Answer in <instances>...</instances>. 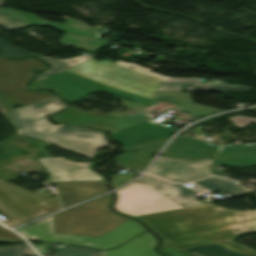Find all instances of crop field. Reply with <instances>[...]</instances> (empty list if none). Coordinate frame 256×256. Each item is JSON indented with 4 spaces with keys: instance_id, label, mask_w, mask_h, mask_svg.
Here are the masks:
<instances>
[{
    "instance_id": "8a807250",
    "label": "crop field",
    "mask_w": 256,
    "mask_h": 256,
    "mask_svg": "<svg viewBox=\"0 0 256 256\" xmlns=\"http://www.w3.org/2000/svg\"><path fill=\"white\" fill-rule=\"evenodd\" d=\"M118 195L117 210L147 222L164 238L160 251L169 256H256L255 251L229 241L256 230V210L239 212L210 204L184 208L138 183Z\"/></svg>"
},
{
    "instance_id": "ac0d7876",
    "label": "crop field",
    "mask_w": 256,
    "mask_h": 256,
    "mask_svg": "<svg viewBox=\"0 0 256 256\" xmlns=\"http://www.w3.org/2000/svg\"><path fill=\"white\" fill-rule=\"evenodd\" d=\"M150 71V69L130 62L111 63L96 61L95 58H92L73 68L33 83L29 87L55 90L71 103L86 98L90 94L101 92L150 106V100L105 85L108 83L152 97L157 86L171 77Z\"/></svg>"
},
{
    "instance_id": "34b2d1b8",
    "label": "crop field",
    "mask_w": 256,
    "mask_h": 256,
    "mask_svg": "<svg viewBox=\"0 0 256 256\" xmlns=\"http://www.w3.org/2000/svg\"><path fill=\"white\" fill-rule=\"evenodd\" d=\"M66 107L55 95L4 116L18 130V134L41 138L89 157L97 148L108 146L101 132L63 124L54 126L47 121L50 113ZM52 138L58 141L55 142Z\"/></svg>"
},
{
    "instance_id": "412701ff",
    "label": "crop field",
    "mask_w": 256,
    "mask_h": 256,
    "mask_svg": "<svg viewBox=\"0 0 256 256\" xmlns=\"http://www.w3.org/2000/svg\"><path fill=\"white\" fill-rule=\"evenodd\" d=\"M110 196L82 204L54 216L55 233L101 236L129 220L108 209Z\"/></svg>"
},
{
    "instance_id": "f4fd0767",
    "label": "crop field",
    "mask_w": 256,
    "mask_h": 256,
    "mask_svg": "<svg viewBox=\"0 0 256 256\" xmlns=\"http://www.w3.org/2000/svg\"><path fill=\"white\" fill-rule=\"evenodd\" d=\"M45 68L34 59H0V105L6 113L14 110V105L26 106L35 101L55 95L50 92L28 91L24 83L32 78V70Z\"/></svg>"
},
{
    "instance_id": "dd49c442",
    "label": "crop field",
    "mask_w": 256,
    "mask_h": 256,
    "mask_svg": "<svg viewBox=\"0 0 256 256\" xmlns=\"http://www.w3.org/2000/svg\"><path fill=\"white\" fill-rule=\"evenodd\" d=\"M144 230H146L144 226L130 219L101 237L55 234L52 216L18 231L30 240L62 242L88 247L110 249L140 234Z\"/></svg>"
},
{
    "instance_id": "e52e79f7",
    "label": "crop field",
    "mask_w": 256,
    "mask_h": 256,
    "mask_svg": "<svg viewBox=\"0 0 256 256\" xmlns=\"http://www.w3.org/2000/svg\"><path fill=\"white\" fill-rule=\"evenodd\" d=\"M150 104L152 105L151 107L153 109H157L160 113H162V111H164L167 108H176V109H179L178 112H185V113L200 116V117H204L208 114L222 111V110L214 109L204 105L196 104L192 101L190 93H183V92L157 91L154 97L152 98V101ZM75 109L76 108L74 107L63 113L57 114L56 116H54V119L56 121L74 122V121H70L60 117ZM148 111L149 110L146 109L145 112L141 115L121 117L98 126L87 124V123H81V122H76V123H81L90 127L99 128V129H103L110 132L113 140L122 144L124 146L122 149L128 150L134 146L122 140L118 136V134L115 132V130L145 120Z\"/></svg>"
},
{
    "instance_id": "d8731c3e",
    "label": "crop field",
    "mask_w": 256,
    "mask_h": 256,
    "mask_svg": "<svg viewBox=\"0 0 256 256\" xmlns=\"http://www.w3.org/2000/svg\"><path fill=\"white\" fill-rule=\"evenodd\" d=\"M58 201L16 187L0 180V212L11 221V227L34 218L57 211ZM22 224V223H21Z\"/></svg>"
},
{
    "instance_id": "5a996713",
    "label": "crop field",
    "mask_w": 256,
    "mask_h": 256,
    "mask_svg": "<svg viewBox=\"0 0 256 256\" xmlns=\"http://www.w3.org/2000/svg\"><path fill=\"white\" fill-rule=\"evenodd\" d=\"M0 9L31 26H49L56 30L65 32L66 34L64 37L61 38L60 43L66 46L76 47L77 49L82 50L98 51L101 50L108 43H110L108 41H103L91 37L96 32V30H93L94 28L83 22L63 17L61 19L67 20V22L61 25L42 20L33 14H26L22 11L18 12L16 10L8 8Z\"/></svg>"
},
{
    "instance_id": "3316defc",
    "label": "crop field",
    "mask_w": 256,
    "mask_h": 256,
    "mask_svg": "<svg viewBox=\"0 0 256 256\" xmlns=\"http://www.w3.org/2000/svg\"><path fill=\"white\" fill-rule=\"evenodd\" d=\"M52 182L103 180L101 176L89 169L92 163H77L63 157L38 158Z\"/></svg>"
},
{
    "instance_id": "28ad6ade",
    "label": "crop field",
    "mask_w": 256,
    "mask_h": 256,
    "mask_svg": "<svg viewBox=\"0 0 256 256\" xmlns=\"http://www.w3.org/2000/svg\"><path fill=\"white\" fill-rule=\"evenodd\" d=\"M212 165V159L190 162L185 160L169 159L161 156L157 162L147 171L158 177L175 182H191L197 180L198 177L190 171Z\"/></svg>"
},
{
    "instance_id": "d1516ede",
    "label": "crop field",
    "mask_w": 256,
    "mask_h": 256,
    "mask_svg": "<svg viewBox=\"0 0 256 256\" xmlns=\"http://www.w3.org/2000/svg\"><path fill=\"white\" fill-rule=\"evenodd\" d=\"M217 149L218 146L179 136L167 147L164 155L185 160H199L213 157Z\"/></svg>"
},
{
    "instance_id": "22f410ed",
    "label": "crop field",
    "mask_w": 256,
    "mask_h": 256,
    "mask_svg": "<svg viewBox=\"0 0 256 256\" xmlns=\"http://www.w3.org/2000/svg\"><path fill=\"white\" fill-rule=\"evenodd\" d=\"M51 184L61 187L57 194L62 201V208L78 203L86 198L107 192L104 181Z\"/></svg>"
},
{
    "instance_id": "cbeb9de0",
    "label": "crop field",
    "mask_w": 256,
    "mask_h": 256,
    "mask_svg": "<svg viewBox=\"0 0 256 256\" xmlns=\"http://www.w3.org/2000/svg\"><path fill=\"white\" fill-rule=\"evenodd\" d=\"M139 180L184 207L201 204L193 198L195 191H192L180 184L166 182L162 179L148 175L143 176Z\"/></svg>"
},
{
    "instance_id": "5142ce71",
    "label": "crop field",
    "mask_w": 256,
    "mask_h": 256,
    "mask_svg": "<svg viewBox=\"0 0 256 256\" xmlns=\"http://www.w3.org/2000/svg\"><path fill=\"white\" fill-rule=\"evenodd\" d=\"M158 244L156 238L149 232L128 242L125 246L113 251H101L106 256H161L154 251Z\"/></svg>"
},
{
    "instance_id": "d9b57169",
    "label": "crop field",
    "mask_w": 256,
    "mask_h": 256,
    "mask_svg": "<svg viewBox=\"0 0 256 256\" xmlns=\"http://www.w3.org/2000/svg\"><path fill=\"white\" fill-rule=\"evenodd\" d=\"M5 3V0H0V5ZM0 25L10 29V30H19L22 28L29 27L28 25L22 23L21 21L13 18L12 16L6 14L5 12L0 10ZM0 46L2 47V55L9 57H19L24 55H36L32 53L25 52L15 46H12L2 39H0ZM40 56V55H37Z\"/></svg>"
},
{
    "instance_id": "733c2abd",
    "label": "crop field",
    "mask_w": 256,
    "mask_h": 256,
    "mask_svg": "<svg viewBox=\"0 0 256 256\" xmlns=\"http://www.w3.org/2000/svg\"><path fill=\"white\" fill-rule=\"evenodd\" d=\"M210 191L227 192L229 194L235 195L236 197L247 195L248 192L240 185L234 183L233 181L222 178V177H210L206 180L194 182Z\"/></svg>"
},
{
    "instance_id": "4a817a6b",
    "label": "crop field",
    "mask_w": 256,
    "mask_h": 256,
    "mask_svg": "<svg viewBox=\"0 0 256 256\" xmlns=\"http://www.w3.org/2000/svg\"><path fill=\"white\" fill-rule=\"evenodd\" d=\"M40 58H42L44 61L50 63L52 65V67L49 70H47L46 72L40 73L34 82L44 79L46 77H49V76H51L57 72H60L62 70L68 69V68H70L80 62H83L87 59H90L92 57L83 55V56H79L77 58H71V59H67V60H54V59L47 58V57H40ZM31 83H33V82H31Z\"/></svg>"
},
{
    "instance_id": "bc2a9ffb",
    "label": "crop field",
    "mask_w": 256,
    "mask_h": 256,
    "mask_svg": "<svg viewBox=\"0 0 256 256\" xmlns=\"http://www.w3.org/2000/svg\"><path fill=\"white\" fill-rule=\"evenodd\" d=\"M251 156L256 158V145L220 146L214 158Z\"/></svg>"
},
{
    "instance_id": "214f88e0",
    "label": "crop field",
    "mask_w": 256,
    "mask_h": 256,
    "mask_svg": "<svg viewBox=\"0 0 256 256\" xmlns=\"http://www.w3.org/2000/svg\"><path fill=\"white\" fill-rule=\"evenodd\" d=\"M54 251L58 252L54 256H92L100 253V250L75 246H67L63 249L54 248Z\"/></svg>"
},
{
    "instance_id": "92a150f3",
    "label": "crop field",
    "mask_w": 256,
    "mask_h": 256,
    "mask_svg": "<svg viewBox=\"0 0 256 256\" xmlns=\"http://www.w3.org/2000/svg\"><path fill=\"white\" fill-rule=\"evenodd\" d=\"M181 85H206V83H199L198 79L172 78L161 86H158V90L180 91Z\"/></svg>"
},
{
    "instance_id": "dafd665d",
    "label": "crop field",
    "mask_w": 256,
    "mask_h": 256,
    "mask_svg": "<svg viewBox=\"0 0 256 256\" xmlns=\"http://www.w3.org/2000/svg\"><path fill=\"white\" fill-rule=\"evenodd\" d=\"M27 245V244H26ZM11 246V247H1L0 256H24L31 255L37 256L28 246Z\"/></svg>"
},
{
    "instance_id": "00972430",
    "label": "crop field",
    "mask_w": 256,
    "mask_h": 256,
    "mask_svg": "<svg viewBox=\"0 0 256 256\" xmlns=\"http://www.w3.org/2000/svg\"><path fill=\"white\" fill-rule=\"evenodd\" d=\"M229 165V166H241L249 167L256 165V160L251 158H235V159H213V165Z\"/></svg>"
},
{
    "instance_id": "a9b5d70f",
    "label": "crop field",
    "mask_w": 256,
    "mask_h": 256,
    "mask_svg": "<svg viewBox=\"0 0 256 256\" xmlns=\"http://www.w3.org/2000/svg\"><path fill=\"white\" fill-rule=\"evenodd\" d=\"M21 238L17 236L16 234L0 228V242H5V243H17L21 242Z\"/></svg>"
},
{
    "instance_id": "4177f3b9",
    "label": "crop field",
    "mask_w": 256,
    "mask_h": 256,
    "mask_svg": "<svg viewBox=\"0 0 256 256\" xmlns=\"http://www.w3.org/2000/svg\"><path fill=\"white\" fill-rule=\"evenodd\" d=\"M208 89H215V90H242V89H250L251 87L234 85L231 86L229 84H208Z\"/></svg>"
},
{
    "instance_id": "730fd06b",
    "label": "crop field",
    "mask_w": 256,
    "mask_h": 256,
    "mask_svg": "<svg viewBox=\"0 0 256 256\" xmlns=\"http://www.w3.org/2000/svg\"><path fill=\"white\" fill-rule=\"evenodd\" d=\"M229 119L232 120L236 126L243 127V128H245L251 122H255L256 123V119L250 118V117L241 116V115H238V116H235V117H232V118H229Z\"/></svg>"
},
{
    "instance_id": "eef30255",
    "label": "crop field",
    "mask_w": 256,
    "mask_h": 256,
    "mask_svg": "<svg viewBox=\"0 0 256 256\" xmlns=\"http://www.w3.org/2000/svg\"><path fill=\"white\" fill-rule=\"evenodd\" d=\"M210 167H204V168H201V169H198V170H195V171H192L194 174H196L199 179L201 178H204V177H207V176H210V175H213L208 169Z\"/></svg>"
},
{
    "instance_id": "ae1a2a85",
    "label": "crop field",
    "mask_w": 256,
    "mask_h": 256,
    "mask_svg": "<svg viewBox=\"0 0 256 256\" xmlns=\"http://www.w3.org/2000/svg\"><path fill=\"white\" fill-rule=\"evenodd\" d=\"M37 250L38 252L43 256L48 245H33Z\"/></svg>"
},
{
    "instance_id": "d3111659",
    "label": "crop field",
    "mask_w": 256,
    "mask_h": 256,
    "mask_svg": "<svg viewBox=\"0 0 256 256\" xmlns=\"http://www.w3.org/2000/svg\"><path fill=\"white\" fill-rule=\"evenodd\" d=\"M94 256H101V255H94Z\"/></svg>"
}]
</instances>
